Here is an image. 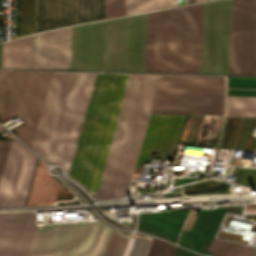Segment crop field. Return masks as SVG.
I'll return each mask as SVG.
<instances>
[{
	"label": "crop field",
	"instance_id": "34b2d1b8",
	"mask_svg": "<svg viewBox=\"0 0 256 256\" xmlns=\"http://www.w3.org/2000/svg\"><path fill=\"white\" fill-rule=\"evenodd\" d=\"M95 73L77 72L50 165L66 176ZM126 73H96L67 176L92 191Z\"/></svg>",
	"mask_w": 256,
	"mask_h": 256
},
{
	"label": "crop field",
	"instance_id": "733c2abd",
	"mask_svg": "<svg viewBox=\"0 0 256 256\" xmlns=\"http://www.w3.org/2000/svg\"><path fill=\"white\" fill-rule=\"evenodd\" d=\"M151 238L140 233L129 237L123 256H146Z\"/></svg>",
	"mask_w": 256,
	"mask_h": 256
},
{
	"label": "crop field",
	"instance_id": "412701ff",
	"mask_svg": "<svg viewBox=\"0 0 256 256\" xmlns=\"http://www.w3.org/2000/svg\"><path fill=\"white\" fill-rule=\"evenodd\" d=\"M146 14L32 35L30 68L144 71Z\"/></svg>",
	"mask_w": 256,
	"mask_h": 256
},
{
	"label": "crop field",
	"instance_id": "4a817a6b",
	"mask_svg": "<svg viewBox=\"0 0 256 256\" xmlns=\"http://www.w3.org/2000/svg\"><path fill=\"white\" fill-rule=\"evenodd\" d=\"M174 247L153 237L147 256H173Z\"/></svg>",
	"mask_w": 256,
	"mask_h": 256
},
{
	"label": "crop field",
	"instance_id": "dd49c442",
	"mask_svg": "<svg viewBox=\"0 0 256 256\" xmlns=\"http://www.w3.org/2000/svg\"><path fill=\"white\" fill-rule=\"evenodd\" d=\"M51 72L0 70V121L22 118L26 123L11 131L30 146Z\"/></svg>",
	"mask_w": 256,
	"mask_h": 256
},
{
	"label": "crop field",
	"instance_id": "bc2a9ffb",
	"mask_svg": "<svg viewBox=\"0 0 256 256\" xmlns=\"http://www.w3.org/2000/svg\"><path fill=\"white\" fill-rule=\"evenodd\" d=\"M127 239L113 232L105 256H121Z\"/></svg>",
	"mask_w": 256,
	"mask_h": 256
},
{
	"label": "crop field",
	"instance_id": "92a150f3",
	"mask_svg": "<svg viewBox=\"0 0 256 256\" xmlns=\"http://www.w3.org/2000/svg\"><path fill=\"white\" fill-rule=\"evenodd\" d=\"M199 1H204V0H194V2H199ZM206 1V0H205Z\"/></svg>",
	"mask_w": 256,
	"mask_h": 256
},
{
	"label": "crop field",
	"instance_id": "f4fd0767",
	"mask_svg": "<svg viewBox=\"0 0 256 256\" xmlns=\"http://www.w3.org/2000/svg\"><path fill=\"white\" fill-rule=\"evenodd\" d=\"M35 212L0 214V256H29ZM30 256H104L112 230L95 222L44 225Z\"/></svg>",
	"mask_w": 256,
	"mask_h": 256
},
{
	"label": "crop field",
	"instance_id": "cbeb9de0",
	"mask_svg": "<svg viewBox=\"0 0 256 256\" xmlns=\"http://www.w3.org/2000/svg\"><path fill=\"white\" fill-rule=\"evenodd\" d=\"M30 36L2 43L1 68H29Z\"/></svg>",
	"mask_w": 256,
	"mask_h": 256
},
{
	"label": "crop field",
	"instance_id": "8a807250",
	"mask_svg": "<svg viewBox=\"0 0 256 256\" xmlns=\"http://www.w3.org/2000/svg\"><path fill=\"white\" fill-rule=\"evenodd\" d=\"M162 75L129 74L92 193L127 195ZM151 112L224 115V77L163 75Z\"/></svg>",
	"mask_w": 256,
	"mask_h": 256
},
{
	"label": "crop field",
	"instance_id": "d1516ede",
	"mask_svg": "<svg viewBox=\"0 0 256 256\" xmlns=\"http://www.w3.org/2000/svg\"><path fill=\"white\" fill-rule=\"evenodd\" d=\"M227 95L256 96V78L227 79ZM226 97V115L256 116V97Z\"/></svg>",
	"mask_w": 256,
	"mask_h": 256
},
{
	"label": "crop field",
	"instance_id": "5142ce71",
	"mask_svg": "<svg viewBox=\"0 0 256 256\" xmlns=\"http://www.w3.org/2000/svg\"><path fill=\"white\" fill-rule=\"evenodd\" d=\"M208 250L214 251L212 256H250L256 250L251 247L213 239Z\"/></svg>",
	"mask_w": 256,
	"mask_h": 256
},
{
	"label": "crop field",
	"instance_id": "3316defc",
	"mask_svg": "<svg viewBox=\"0 0 256 256\" xmlns=\"http://www.w3.org/2000/svg\"><path fill=\"white\" fill-rule=\"evenodd\" d=\"M178 8L147 13L145 71L175 72Z\"/></svg>",
	"mask_w": 256,
	"mask_h": 256
},
{
	"label": "crop field",
	"instance_id": "d9b57169",
	"mask_svg": "<svg viewBox=\"0 0 256 256\" xmlns=\"http://www.w3.org/2000/svg\"><path fill=\"white\" fill-rule=\"evenodd\" d=\"M35 32V0H21V36Z\"/></svg>",
	"mask_w": 256,
	"mask_h": 256
},
{
	"label": "crop field",
	"instance_id": "e52e79f7",
	"mask_svg": "<svg viewBox=\"0 0 256 256\" xmlns=\"http://www.w3.org/2000/svg\"><path fill=\"white\" fill-rule=\"evenodd\" d=\"M156 10V0H101V19ZM100 19V0H36V32Z\"/></svg>",
	"mask_w": 256,
	"mask_h": 256
},
{
	"label": "crop field",
	"instance_id": "28ad6ade",
	"mask_svg": "<svg viewBox=\"0 0 256 256\" xmlns=\"http://www.w3.org/2000/svg\"><path fill=\"white\" fill-rule=\"evenodd\" d=\"M186 115L151 114L135 166L149 162L152 151L159 158L172 160ZM154 147H157L155 150ZM163 150H166L163 153Z\"/></svg>",
	"mask_w": 256,
	"mask_h": 256
},
{
	"label": "crop field",
	"instance_id": "22f410ed",
	"mask_svg": "<svg viewBox=\"0 0 256 256\" xmlns=\"http://www.w3.org/2000/svg\"><path fill=\"white\" fill-rule=\"evenodd\" d=\"M58 184L59 181L46 172V165L38 160L27 205L55 201Z\"/></svg>",
	"mask_w": 256,
	"mask_h": 256
},
{
	"label": "crop field",
	"instance_id": "d8731c3e",
	"mask_svg": "<svg viewBox=\"0 0 256 256\" xmlns=\"http://www.w3.org/2000/svg\"><path fill=\"white\" fill-rule=\"evenodd\" d=\"M36 156L13 138L0 142V207L25 205Z\"/></svg>",
	"mask_w": 256,
	"mask_h": 256
},
{
	"label": "crop field",
	"instance_id": "214f88e0",
	"mask_svg": "<svg viewBox=\"0 0 256 256\" xmlns=\"http://www.w3.org/2000/svg\"><path fill=\"white\" fill-rule=\"evenodd\" d=\"M190 3H193V0H157V9Z\"/></svg>",
	"mask_w": 256,
	"mask_h": 256
},
{
	"label": "crop field",
	"instance_id": "ac0d7876",
	"mask_svg": "<svg viewBox=\"0 0 256 256\" xmlns=\"http://www.w3.org/2000/svg\"><path fill=\"white\" fill-rule=\"evenodd\" d=\"M231 0L179 7L176 72L229 74ZM230 74L256 75V0H232Z\"/></svg>",
	"mask_w": 256,
	"mask_h": 256
},
{
	"label": "crop field",
	"instance_id": "5a996713",
	"mask_svg": "<svg viewBox=\"0 0 256 256\" xmlns=\"http://www.w3.org/2000/svg\"><path fill=\"white\" fill-rule=\"evenodd\" d=\"M76 72L53 71L31 148L50 161Z\"/></svg>",
	"mask_w": 256,
	"mask_h": 256
}]
</instances>
